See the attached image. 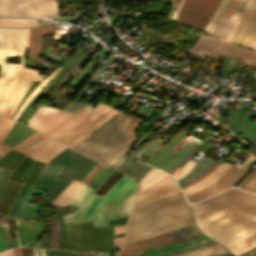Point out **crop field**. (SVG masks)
<instances>
[{
    "label": "crop field",
    "mask_w": 256,
    "mask_h": 256,
    "mask_svg": "<svg viewBox=\"0 0 256 256\" xmlns=\"http://www.w3.org/2000/svg\"><path fill=\"white\" fill-rule=\"evenodd\" d=\"M191 217L189 205L168 175L138 192L127 223L124 244L190 224Z\"/></svg>",
    "instance_id": "8a807250"
},
{
    "label": "crop field",
    "mask_w": 256,
    "mask_h": 256,
    "mask_svg": "<svg viewBox=\"0 0 256 256\" xmlns=\"http://www.w3.org/2000/svg\"><path fill=\"white\" fill-rule=\"evenodd\" d=\"M29 29H0V115L6 116L24 79L39 81L43 76L39 73L24 68L25 51L27 48ZM6 55L22 57L21 64L13 65L6 63ZM2 71L4 77L2 78ZM60 70L56 69L49 77H54ZM50 80L45 79L22 104L21 110L26 106L29 100Z\"/></svg>",
    "instance_id": "ac0d7876"
},
{
    "label": "crop field",
    "mask_w": 256,
    "mask_h": 256,
    "mask_svg": "<svg viewBox=\"0 0 256 256\" xmlns=\"http://www.w3.org/2000/svg\"><path fill=\"white\" fill-rule=\"evenodd\" d=\"M141 120L117 112L104 124L86 136L72 149L115 167L127 154ZM132 138V139H131Z\"/></svg>",
    "instance_id": "34b2d1b8"
},
{
    "label": "crop field",
    "mask_w": 256,
    "mask_h": 256,
    "mask_svg": "<svg viewBox=\"0 0 256 256\" xmlns=\"http://www.w3.org/2000/svg\"><path fill=\"white\" fill-rule=\"evenodd\" d=\"M138 188L136 181L124 175L102 198L91 194L77 211L60 218L73 223L94 219V225H107L106 221L129 213Z\"/></svg>",
    "instance_id": "412701ff"
},
{
    "label": "crop field",
    "mask_w": 256,
    "mask_h": 256,
    "mask_svg": "<svg viewBox=\"0 0 256 256\" xmlns=\"http://www.w3.org/2000/svg\"><path fill=\"white\" fill-rule=\"evenodd\" d=\"M232 26L233 24L217 20L211 34L221 39L209 35L204 36V34L199 32L194 33L187 39L188 41L194 43L199 38L197 42L189 49V52L203 58H205V55L214 57L216 58L215 61H222L224 58L221 73V76L224 78L229 70L238 69V59H240L245 65L256 67L255 51L247 50L225 41ZM223 79L220 83H222Z\"/></svg>",
    "instance_id": "f4fd0767"
},
{
    "label": "crop field",
    "mask_w": 256,
    "mask_h": 256,
    "mask_svg": "<svg viewBox=\"0 0 256 256\" xmlns=\"http://www.w3.org/2000/svg\"><path fill=\"white\" fill-rule=\"evenodd\" d=\"M95 164L93 159L66 147L46 164L35 186L51 191L47 197L51 203L72 179L80 181Z\"/></svg>",
    "instance_id": "dd49c442"
},
{
    "label": "crop field",
    "mask_w": 256,
    "mask_h": 256,
    "mask_svg": "<svg viewBox=\"0 0 256 256\" xmlns=\"http://www.w3.org/2000/svg\"><path fill=\"white\" fill-rule=\"evenodd\" d=\"M205 236L199 230L195 228L194 223L185 227L179 228L175 231L145 239L142 241L126 244L122 247L119 255L132 254L136 252L153 250L169 245H174L186 241L196 239L198 237Z\"/></svg>",
    "instance_id": "e52e79f7"
},
{
    "label": "crop field",
    "mask_w": 256,
    "mask_h": 256,
    "mask_svg": "<svg viewBox=\"0 0 256 256\" xmlns=\"http://www.w3.org/2000/svg\"><path fill=\"white\" fill-rule=\"evenodd\" d=\"M188 131L177 133L172 140L158 149L146 163L158 167L170 173L198 144L194 140H186L183 137ZM186 142L184 145L182 143ZM182 146L177 152L173 150L174 146Z\"/></svg>",
    "instance_id": "d8731c3e"
},
{
    "label": "crop field",
    "mask_w": 256,
    "mask_h": 256,
    "mask_svg": "<svg viewBox=\"0 0 256 256\" xmlns=\"http://www.w3.org/2000/svg\"><path fill=\"white\" fill-rule=\"evenodd\" d=\"M126 218H119L116 220L108 221V225H122L126 223ZM84 223H81V229H80V236H79V241L77 245V251L80 249L81 241H82V236H83V228H84ZM105 232H106V226L102 227H93V221H89L85 223V229H84V237H83V242L81 245L80 251L82 252H88L90 249L92 250H97V251H104L105 249ZM125 235L123 234H117L114 235L116 236H122ZM108 246H109V226H107V233H106V249L105 251H108ZM113 249V226H110V246H109V251Z\"/></svg>",
    "instance_id": "5a996713"
},
{
    "label": "crop field",
    "mask_w": 256,
    "mask_h": 256,
    "mask_svg": "<svg viewBox=\"0 0 256 256\" xmlns=\"http://www.w3.org/2000/svg\"><path fill=\"white\" fill-rule=\"evenodd\" d=\"M220 0H185L176 21L205 30Z\"/></svg>",
    "instance_id": "3316defc"
},
{
    "label": "crop field",
    "mask_w": 256,
    "mask_h": 256,
    "mask_svg": "<svg viewBox=\"0 0 256 256\" xmlns=\"http://www.w3.org/2000/svg\"><path fill=\"white\" fill-rule=\"evenodd\" d=\"M115 112L117 111L105 105L56 141L71 148Z\"/></svg>",
    "instance_id": "28ad6ade"
},
{
    "label": "crop field",
    "mask_w": 256,
    "mask_h": 256,
    "mask_svg": "<svg viewBox=\"0 0 256 256\" xmlns=\"http://www.w3.org/2000/svg\"><path fill=\"white\" fill-rule=\"evenodd\" d=\"M70 116H72V114L62 110L50 107H39L27 123L32 128L44 134L55 128Z\"/></svg>",
    "instance_id": "d1516ede"
},
{
    "label": "crop field",
    "mask_w": 256,
    "mask_h": 256,
    "mask_svg": "<svg viewBox=\"0 0 256 256\" xmlns=\"http://www.w3.org/2000/svg\"><path fill=\"white\" fill-rule=\"evenodd\" d=\"M0 15L42 16L38 0H0Z\"/></svg>",
    "instance_id": "22f410ed"
},
{
    "label": "crop field",
    "mask_w": 256,
    "mask_h": 256,
    "mask_svg": "<svg viewBox=\"0 0 256 256\" xmlns=\"http://www.w3.org/2000/svg\"><path fill=\"white\" fill-rule=\"evenodd\" d=\"M58 25H59L58 23H51V24H48V25L46 24L44 26H41V27H38L35 29H30L29 42H28L29 58L36 59L54 69L57 67H54V66L48 64L47 62L39 59L38 53H39V49H40L41 36L48 34V33L56 32Z\"/></svg>",
    "instance_id": "cbeb9de0"
},
{
    "label": "crop field",
    "mask_w": 256,
    "mask_h": 256,
    "mask_svg": "<svg viewBox=\"0 0 256 256\" xmlns=\"http://www.w3.org/2000/svg\"><path fill=\"white\" fill-rule=\"evenodd\" d=\"M27 158H28V156L26 155V157H25V158L19 163V165L13 170L12 174L9 176L10 179L13 178L15 172L18 170V168L21 166V164H22ZM31 158H32V157H29V158L22 164V166L19 168V170H18L17 173L15 174L13 180H15V178L18 176V174L20 173V171L23 169V167L27 164V162H28ZM34 161H35V160H33V159H31V160L29 161V163L25 166V168L22 170V172H21V173L19 174V176L17 177V179H16L17 181H20V179L23 177V175L25 174V172H26V171L28 170V168L33 164ZM38 163H39V161L36 160L35 163H34V164L30 167V169L26 172V174L24 175V177L21 179V182L27 183V181H28L30 175L32 174L33 170L35 169V167L37 166ZM42 163H43V162L40 161V163L38 164V166H37L36 169L34 170L33 174L31 175V177H30V179H29V181H28V184H30V182H31L32 179L34 178V176L36 175V173H37V171H38V169L40 168V166H41ZM45 164H46V163H43V164H42V166H41L40 170L38 171L37 175L35 176V178H34L33 181L31 182V185H33V186L35 185V183H36V181H37V179H38V177H39V175H40L42 169L44 168ZM21 186H22V185H21ZM20 188H21V187H20ZM19 190H20V189H19ZM18 192H19V191H18ZM17 194H18V193H17ZM17 194H16V195H17ZM15 197H16V196H15ZM14 199H15V198H14ZM13 201H14V200H13ZM13 201H12V203H13ZM12 203H11V205H12ZM11 205H10V207H11ZM10 207L8 208V210L10 209ZM8 210H7V212H8ZM7 212H6V214H7Z\"/></svg>",
    "instance_id": "5142ce71"
},
{
    "label": "crop field",
    "mask_w": 256,
    "mask_h": 256,
    "mask_svg": "<svg viewBox=\"0 0 256 256\" xmlns=\"http://www.w3.org/2000/svg\"><path fill=\"white\" fill-rule=\"evenodd\" d=\"M3 182V178L0 181V185ZM9 180L5 179L3 184L0 187V197L2 195L3 190L5 189V187L7 186ZM19 182H15V181H11L8 184V186L6 187L1 199H0V212L5 214L7 208L9 207L11 201L13 200L15 194L17 193L19 187H20Z\"/></svg>",
    "instance_id": "d9b57169"
},
{
    "label": "crop field",
    "mask_w": 256,
    "mask_h": 256,
    "mask_svg": "<svg viewBox=\"0 0 256 256\" xmlns=\"http://www.w3.org/2000/svg\"><path fill=\"white\" fill-rule=\"evenodd\" d=\"M101 106H103V104H99L96 107H94L93 109H91L92 105H90L84 112L80 113L79 115H77L76 117L71 119L69 122H67L65 125H63L61 128H59L57 131H55L54 133H52L48 137H50V138H52L54 140L59 138L61 135H63L64 133L69 131L71 128H73L74 126L79 124L81 121H83L84 119L89 117L91 114H93Z\"/></svg>",
    "instance_id": "733c2abd"
},
{
    "label": "crop field",
    "mask_w": 256,
    "mask_h": 256,
    "mask_svg": "<svg viewBox=\"0 0 256 256\" xmlns=\"http://www.w3.org/2000/svg\"><path fill=\"white\" fill-rule=\"evenodd\" d=\"M237 168L238 166L231 164L228 169L214 183L209 184L195 192L185 194L184 196L186 197V199L193 198L218 187L219 185L223 184L236 171Z\"/></svg>",
    "instance_id": "4a817a6b"
},
{
    "label": "crop field",
    "mask_w": 256,
    "mask_h": 256,
    "mask_svg": "<svg viewBox=\"0 0 256 256\" xmlns=\"http://www.w3.org/2000/svg\"><path fill=\"white\" fill-rule=\"evenodd\" d=\"M83 186L84 184L73 180L69 186L52 202V204L57 206H66Z\"/></svg>",
    "instance_id": "bc2a9ffb"
},
{
    "label": "crop field",
    "mask_w": 256,
    "mask_h": 256,
    "mask_svg": "<svg viewBox=\"0 0 256 256\" xmlns=\"http://www.w3.org/2000/svg\"><path fill=\"white\" fill-rule=\"evenodd\" d=\"M19 222H20V228H21V232H22V236H23L25 245L34 241L29 221L19 220ZM34 222H35V226H36V229L38 232V236H40V234L44 228L43 222H40V221H34ZM31 226H32V223H31ZM32 230H33V227H32ZM37 232H36V235H37ZM33 234H34V238L36 239L34 231H33ZM38 236H37V238H38Z\"/></svg>",
    "instance_id": "214f88e0"
},
{
    "label": "crop field",
    "mask_w": 256,
    "mask_h": 256,
    "mask_svg": "<svg viewBox=\"0 0 256 256\" xmlns=\"http://www.w3.org/2000/svg\"><path fill=\"white\" fill-rule=\"evenodd\" d=\"M229 165H230L229 163L222 162L219 165V167L213 173H211L208 177H206L204 180H202L201 182H199L191 187L182 189L183 194L195 191V190L215 181L225 171V169Z\"/></svg>",
    "instance_id": "92a150f3"
},
{
    "label": "crop field",
    "mask_w": 256,
    "mask_h": 256,
    "mask_svg": "<svg viewBox=\"0 0 256 256\" xmlns=\"http://www.w3.org/2000/svg\"><path fill=\"white\" fill-rule=\"evenodd\" d=\"M225 251H227L225 248H223L220 244L215 243L208 247H204L198 250H194L191 252L178 254L174 256H214V255L221 254Z\"/></svg>",
    "instance_id": "dafd665d"
},
{
    "label": "crop field",
    "mask_w": 256,
    "mask_h": 256,
    "mask_svg": "<svg viewBox=\"0 0 256 256\" xmlns=\"http://www.w3.org/2000/svg\"><path fill=\"white\" fill-rule=\"evenodd\" d=\"M68 226H69V223H66L65 237H64L63 245L61 248H64V244H65V240H66V236H67V232H68ZM79 228H80V223H76V224L70 223L69 233H68L65 248H71V249L75 250L77 239H78V234H79Z\"/></svg>",
    "instance_id": "00972430"
},
{
    "label": "crop field",
    "mask_w": 256,
    "mask_h": 256,
    "mask_svg": "<svg viewBox=\"0 0 256 256\" xmlns=\"http://www.w3.org/2000/svg\"><path fill=\"white\" fill-rule=\"evenodd\" d=\"M21 153H22V152H21ZM21 153L15 151V150H13V149L8 152V154H10V155H12V156H14V157H16V158L22 160L25 155H24V154H21ZM16 158H13V157H11V156L5 154L4 156H2V157L0 158V160L3 161V162H5V163H7V164H9V165H11V166L16 167V165L20 162V160H18V159H16ZM0 166L3 167V168H5L6 170H13V169H14V167L8 166V165H6V164H4V163H2V162H0ZM10 173H11V171H7V174L5 175V178H8V176L10 175Z\"/></svg>",
    "instance_id": "a9b5d70f"
},
{
    "label": "crop field",
    "mask_w": 256,
    "mask_h": 256,
    "mask_svg": "<svg viewBox=\"0 0 256 256\" xmlns=\"http://www.w3.org/2000/svg\"><path fill=\"white\" fill-rule=\"evenodd\" d=\"M162 171V170H161ZM155 168H153L148 174H146L140 181V185H141V189L148 187L150 185H152L153 183H155L156 181H158L159 179L163 178L164 176H166L167 174L161 172ZM140 189V190H141Z\"/></svg>",
    "instance_id": "4177f3b9"
},
{
    "label": "crop field",
    "mask_w": 256,
    "mask_h": 256,
    "mask_svg": "<svg viewBox=\"0 0 256 256\" xmlns=\"http://www.w3.org/2000/svg\"><path fill=\"white\" fill-rule=\"evenodd\" d=\"M37 24V20L33 19H0V26H32Z\"/></svg>",
    "instance_id": "730fd06b"
},
{
    "label": "crop field",
    "mask_w": 256,
    "mask_h": 256,
    "mask_svg": "<svg viewBox=\"0 0 256 256\" xmlns=\"http://www.w3.org/2000/svg\"><path fill=\"white\" fill-rule=\"evenodd\" d=\"M43 16H57V3L55 0H39Z\"/></svg>",
    "instance_id": "eef30255"
},
{
    "label": "crop field",
    "mask_w": 256,
    "mask_h": 256,
    "mask_svg": "<svg viewBox=\"0 0 256 256\" xmlns=\"http://www.w3.org/2000/svg\"><path fill=\"white\" fill-rule=\"evenodd\" d=\"M237 187L256 192V169L244 179Z\"/></svg>",
    "instance_id": "ae1a2a85"
},
{
    "label": "crop field",
    "mask_w": 256,
    "mask_h": 256,
    "mask_svg": "<svg viewBox=\"0 0 256 256\" xmlns=\"http://www.w3.org/2000/svg\"><path fill=\"white\" fill-rule=\"evenodd\" d=\"M93 188L84 186V188L72 199V201L67 206L78 207L86 197L92 192Z\"/></svg>",
    "instance_id": "d3111659"
},
{
    "label": "crop field",
    "mask_w": 256,
    "mask_h": 256,
    "mask_svg": "<svg viewBox=\"0 0 256 256\" xmlns=\"http://www.w3.org/2000/svg\"><path fill=\"white\" fill-rule=\"evenodd\" d=\"M30 84H31L30 81H26V80L24 81V83H23V85H22V87H21V89H20V91H19V93H18V95H17V97H16V99H15L11 109H10L8 117H10V118L12 117L15 109L17 108L18 104L20 103L22 97L24 96V94L27 91V89L30 86Z\"/></svg>",
    "instance_id": "750c4746"
},
{
    "label": "crop field",
    "mask_w": 256,
    "mask_h": 256,
    "mask_svg": "<svg viewBox=\"0 0 256 256\" xmlns=\"http://www.w3.org/2000/svg\"><path fill=\"white\" fill-rule=\"evenodd\" d=\"M47 256H93L94 252H90L89 254H81V253H73L71 251H63V250H45Z\"/></svg>",
    "instance_id": "bd1437ed"
},
{
    "label": "crop field",
    "mask_w": 256,
    "mask_h": 256,
    "mask_svg": "<svg viewBox=\"0 0 256 256\" xmlns=\"http://www.w3.org/2000/svg\"><path fill=\"white\" fill-rule=\"evenodd\" d=\"M65 146H62L60 144L55 145L51 149H49L47 152H45L42 156L38 158V160H41L43 162H47L49 159H51L53 156H55L57 153H59Z\"/></svg>",
    "instance_id": "1d83c4d3"
},
{
    "label": "crop field",
    "mask_w": 256,
    "mask_h": 256,
    "mask_svg": "<svg viewBox=\"0 0 256 256\" xmlns=\"http://www.w3.org/2000/svg\"><path fill=\"white\" fill-rule=\"evenodd\" d=\"M229 0H221V2L219 3V5L217 6L216 10L214 11L209 23H208V26L206 28V32L210 33L211 32V29H212V26L217 18V16L219 15V13L222 11V9L224 8V6L227 4Z\"/></svg>",
    "instance_id": "120bbe31"
},
{
    "label": "crop field",
    "mask_w": 256,
    "mask_h": 256,
    "mask_svg": "<svg viewBox=\"0 0 256 256\" xmlns=\"http://www.w3.org/2000/svg\"><path fill=\"white\" fill-rule=\"evenodd\" d=\"M219 164H220V162H218V161L215 160V161L211 164V166H210L201 176H199V177L196 178L195 180H193V181H191V182H189V183H187V184L181 186L180 188L182 189V188L188 187V186H190V185H192V184H194V183H196V182H198V181L204 179V178H205L206 176H208L211 172H213V171L218 167Z\"/></svg>",
    "instance_id": "d32e631a"
},
{
    "label": "crop field",
    "mask_w": 256,
    "mask_h": 256,
    "mask_svg": "<svg viewBox=\"0 0 256 256\" xmlns=\"http://www.w3.org/2000/svg\"><path fill=\"white\" fill-rule=\"evenodd\" d=\"M195 164H196L195 161L189 160L187 162V164L182 169H180L176 174H174L173 176L175 177V179L180 178L181 176L186 174Z\"/></svg>",
    "instance_id": "5866460e"
},
{
    "label": "crop field",
    "mask_w": 256,
    "mask_h": 256,
    "mask_svg": "<svg viewBox=\"0 0 256 256\" xmlns=\"http://www.w3.org/2000/svg\"><path fill=\"white\" fill-rule=\"evenodd\" d=\"M2 236L6 250L18 246L16 238H6L5 234Z\"/></svg>",
    "instance_id": "028f5c9d"
},
{
    "label": "crop field",
    "mask_w": 256,
    "mask_h": 256,
    "mask_svg": "<svg viewBox=\"0 0 256 256\" xmlns=\"http://www.w3.org/2000/svg\"><path fill=\"white\" fill-rule=\"evenodd\" d=\"M10 122H11V119L1 117V119H0V138L3 135V133L5 132V130L7 129V127L9 126Z\"/></svg>",
    "instance_id": "e1f06a70"
},
{
    "label": "crop field",
    "mask_w": 256,
    "mask_h": 256,
    "mask_svg": "<svg viewBox=\"0 0 256 256\" xmlns=\"http://www.w3.org/2000/svg\"><path fill=\"white\" fill-rule=\"evenodd\" d=\"M13 123H14V120H12V122H11L10 126L8 127L6 133L4 134V136H3V137L1 138V140H0V155H1V156H2L3 154H5L8 150L11 149V148H9V147H6V146L2 145L1 143H2L3 139L5 138L6 134L8 133L9 129H10L11 126L13 125Z\"/></svg>",
    "instance_id": "0bd39190"
},
{
    "label": "crop field",
    "mask_w": 256,
    "mask_h": 256,
    "mask_svg": "<svg viewBox=\"0 0 256 256\" xmlns=\"http://www.w3.org/2000/svg\"><path fill=\"white\" fill-rule=\"evenodd\" d=\"M124 239H125V236L114 238V247H121V245L124 242Z\"/></svg>",
    "instance_id": "b80d0937"
},
{
    "label": "crop field",
    "mask_w": 256,
    "mask_h": 256,
    "mask_svg": "<svg viewBox=\"0 0 256 256\" xmlns=\"http://www.w3.org/2000/svg\"><path fill=\"white\" fill-rule=\"evenodd\" d=\"M23 256H33V251L30 248L21 247Z\"/></svg>",
    "instance_id": "c035e120"
},
{
    "label": "crop field",
    "mask_w": 256,
    "mask_h": 256,
    "mask_svg": "<svg viewBox=\"0 0 256 256\" xmlns=\"http://www.w3.org/2000/svg\"><path fill=\"white\" fill-rule=\"evenodd\" d=\"M103 167V165H99L98 168L87 178L85 183L87 184L95 175L96 173Z\"/></svg>",
    "instance_id": "c21b1889"
},
{
    "label": "crop field",
    "mask_w": 256,
    "mask_h": 256,
    "mask_svg": "<svg viewBox=\"0 0 256 256\" xmlns=\"http://www.w3.org/2000/svg\"><path fill=\"white\" fill-rule=\"evenodd\" d=\"M125 232V225L114 227V234Z\"/></svg>",
    "instance_id": "03da06ac"
},
{
    "label": "crop field",
    "mask_w": 256,
    "mask_h": 256,
    "mask_svg": "<svg viewBox=\"0 0 256 256\" xmlns=\"http://www.w3.org/2000/svg\"><path fill=\"white\" fill-rule=\"evenodd\" d=\"M0 256H13V251H12V249H10V250L1 252Z\"/></svg>",
    "instance_id": "b54c1fbb"
},
{
    "label": "crop field",
    "mask_w": 256,
    "mask_h": 256,
    "mask_svg": "<svg viewBox=\"0 0 256 256\" xmlns=\"http://www.w3.org/2000/svg\"><path fill=\"white\" fill-rule=\"evenodd\" d=\"M41 136H43V135H41L40 133H39V134H37L35 137H33L31 140H29L27 143H25L24 145H22V146H21V147H19L18 149H20V148L24 147L25 145H27V144L31 143L32 141L36 140L37 138H39V137H41ZM18 149H17V150H18Z\"/></svg>",
    "instance_id": "5d738f31"
},
{
    "label": "crop field",
    "mask_w": 256,
    "mask_h": 256,
    "mask_svg": "<svg viewBox=\"0 0 256 256\" xmlns=\"http://www.w3.org/2000/svg\"><path fill=\"white\" fill-rule=\"evenodd\" d=\"M183 1H184V0H180L179 4H178V6H177V8H176V10H175V12H174V16H173V20H174V21H175V19H176V13L179 11V9H180V7H181Z\"/></svg>",
    "instance_id": "d23c7cc5"
},
{
    "label": "crop field",
    "mask_w": 256,
    "mask_h": 256,
    "mask_svg": "<svg viewBox=\"0 0 256 256\" xmlns=\"http://www.w3.org/2000/svg\"><path fill=\"white\" fill-rule=\"evenodd\" d=\"M13 251L15 256H22L20 248H14Z\"/></svg>",
    "instance_id": "425ffa30"
},
{
    "label": "crop field",
    "mask_w": 256,
    "mask_h": 256,
    "mask_svg": "<svg viewBox=\"0 0 256 256\" xmlns=\"http://www.w3.org/2000/svg\"><path fill=\"white\" fill-rule=\"evenodd\" d=\"M178 2H179V0H173V10H172V12H171V16H170V20H171V18H172V15H173V12H174V9H175V7H176V5L178 4Z\"/></svg>",
    "instance_id": "25e5ab78"
},
{
    "label": "crop field",
    "mask_w": 256,
    "mask_h": 256,
    "mask_svg": "<svg viewBox=\"0 0 256 256\" xmlns=\"http://www.w3.org/2000/svg\"><path fill=\"white\" fill-rule=\"evenodd\" d=\"M16 223H17V229H18V233H19L20 240H21V244H22V246H23L24 244H23V240H22V237H21V232H20L18 220H16Z\"/></svg>",
    "instance_id": "73cf0c24"
},
{
    "label": "crop field",
    "mask_w": 256,
    "mask_h": 256,
    "mask_svg": "<svg viewBox=\"0 0 256 256\" xmlns=\"http://www.w3.org/2000/svg\"><path fill=\"white\" fill-rule=\"evenodd\" d=\"M55 143L51 144L50 146H48L46 149H44L43 151H41L39 154H37L35 157H33L34 159H36L38 156H40L44 151H46L47 149H49L51 146H53Z\"/></svg>",
    "instance_id": "89e229c0"
},
{
    "label": "crop field",
    "mask_w": 256,
    "mask_h": 256,
    "mask_svg": "<svg viewBox=\"0 0 256 256\" xmlns=\"http://www.w3.org/2000/svg\"><path fill=\"white\" fill-rule=\"evenodd\" d=\"M64 232H65V225H62V237H61V242H60V245H59V247H58V248H60V247H61V245H62Z\"/></svg>",
    "instance_id": "1f2cbd36"
},
{
    "label": "crop field",
    "mask_w": 256,
    "mask_h": 256,
    "mask_svg": "<svg viewBox=\"0 0 256 256\" xmlns=\"http://www.w3.org/2000/svg\"><path fill=\"white\" fill-rule=\"evenodd\" d=\"M5 249H4V246H3V244H2V240H1V236H0V252L1 251H4Z\"/></svg>",
    "instance_id": "dbb93151"
},
{
    "label": "crop field",
    "mask_w": 256,
    "mask_h": 256,
    "mask_svg": "<svg viewBox=\"0 0 256 256\" xmlns=\"http://www.w3.org/2000/svg\"><path fill=\"white\" fill-rule=\"evenodd\" d=\"M99 256H108V253H99Z\"/></svg>",
    "instance_id": "0fb4a251"
},
{
    "label": "crop field",
    "mask_w": 256,
    "mask_h": 256,
    "mask_svg": "<svg viewBox=\"0 0 256 256\" xmlns=\"http://www.w3.org/2000/svg\"><path fill=\"white\" fill-rule=\"evenodd\" d=\"M249 254H250V253H249ZM252 254H253V256H256V251L252 252ZM245 256H249V255L247 254V255H245ZM250 256H251V254H250Z\"/></svg>",
    "instance_id": "1d79db26"
},
{
    "label": "crop field",
    "mask_w": 256,
    "mask_h": 256,
    "mask_svg": "<svg viewBox=\"0 0 256 256\" xmlns=\"http://www.w3.org/2000/svg\"><path fill=\"white\" fill-rule=\"evenodd\" d=\"M0 226H1L2 233H4V230H3V226H2L1 221H0Z\"/></svg>",
    "instance_id": "9d1cf04e"
},
{
    "label": "crop field",
    "mask_w": 256,
    "mask_h": 256,
    "mask_svg": "<svg viewBox=\"0 0 256 256\" xmlns=\"http://www.w3.org/2000/svg\"><path fill=\"white\" fill-rule=\"evenodd\" d=\"M41 251H42V255H43V256H46V255H45V251H44V250H41Z\"/></svg>",
    "instance_id": "447ae74e"
},
{
    "label": "crop field",
    "mask_w": 256,
    "mask_h": 256,
    "mask_svg": "<svg viewBox=\"0 0 256 256\" xmlns=\"http://www.w3.org/2000/svg\"><path fill=\"white\" fill-rule=\"evenodd\" d=\"M33 251H34V256H37V252H36V250H34V249H33Z\"/></svg>",
    "instance_id": "0765c3eb"
},
{
    "label": "crop field",
    "mask_w": 256,
    "mask_h": 256,
    "mask_svg": "<svg viewBox=\"0 0 256 256\" xmlns=\"http://www.w3.org/2000/svg\"><path fill=\"white\" fill-rule=\"evenodd\" d=\"M36 246H37V248H39V249H40L39 242H37V243H36Z\"/></svg>",
    "instance_id": "db79e9e6"
},
{
    "label": "crop field",
    "mask_w": 256,
    "mask_h": 256,
    "mask_svg": "<svg viewBox=\"0 0 256 256\" xmlns=\"http://www.w3.org/2000/svg\"><path fill=\"white\" fill-rule=\"evenodd\" d=\"M37 252H38V256H41V252H40V250H37Z\"/></svg>",
    "instance_id": "7b73153f"
},
{
    "label": "crop field",
    "mask_w": 256,
    "mask_h": 256,
    "mask_svg": "<svg viewBox=\"0 0 256 256\" xmlns=\"http://www.w3.org/2000/svg\"><path fill=\"white\" fill-rule=\"evenodd\" d=\"M128 256H138V254L128 255Z\"/></svg>",
    "instance_id": "78b8030e"
}]
</instances>
